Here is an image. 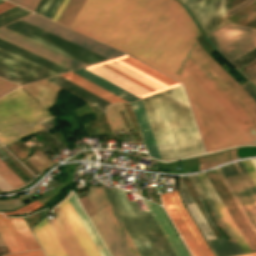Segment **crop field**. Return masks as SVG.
<instances>
[{"mask_svg": "<svg viewBox=\"0 0 256 256\" xmlns=\"http://www.w3.org/2000/svg\"><path fill=\"white\" fill-rule=\"evenodd\" d=\"M71 28L181 81L207 152L256 144V102L200 47L178 2L86 0Z\"/></svg>", "mask_w": 256, "mask_h": 256, "instance_id": "8a807250", "label": "crop field"}, {"mask_svg": "<svg viewBox=\"0 0 256 256\" xmlns=\"http://www.w3.org/2000/svg\"><path fill=\"white\" fill-rule=\"evenodd\" d=\"M142 101L162 161L204 153L182 86Z\"/></svg>", "mask_w": 256, "mask_h": 256, "instance_id": "ac0d7876", "label": "crop field"}, {"mask_svg": "<svg viewBox=\"0 0 256 256\" xmlns=\"http://www.w3.org/2000/svg\"><path fill=\"white\" fill-rule=\"evenodd\" d=\"M102 190L141 256H175L150 211L140 212L124 190Z\"/></svg>", "mask_w": 256, "mask_h": 256, "instance_id": "34b2d1b8", "label": "crop field"}, {"mask_svg": "<svg viewBox=\"0 0 256 256\" xmlns=\"http://www.w3.org/2000/svg\"><path fill=\"white\" fill-rule=\"evenodd\" d=\"M85 68L140 98L180 84L126 55Z\"/></svg>", "mask_w": 256, "mask_h": 256, "instance_id": "412701ff", "label": "crop field"}, {"mask_svg": "<svg viewBox=\"0 0 256 256\" xmlns=\"http://www.w3.org/2000/svg\"><path fill=\"white\" fill-rule=\"evenodd\" d=\"M52 116L21 88L0 98V142L6 144L43 127Z\"/></svg>", "mask_w": 256, "mask_h": 256, "instance_id": "f4fd0767", "label": "crop field"}, {"mask_svg": "<svg viewBox=\"0 0 256 256\" xmlns=\"http://www.w3.org/2000/svg\"><path fill=\"white\" fill-rule=\"evenodd\" d=\"M163 204L194 256H214L181 203L178 192L160 195Z\"/></svg>", "mask_w": 256, "mask_h": 256, "instance_id": "dd49c442", "label": "crop field"}, {"mask_svg": "<svg viewBox=\"0 0 256 256\" xmlns=\"http://www.w3.org/2000/svg\"><path fill=\"white\" fill-rule=\"evenodd\" d=\"M12 31H15L23 36H26L34 41L46 45L54 50H57L65 55H68L76 60H79L87 65L94 64L100 61L108 60L21 20L4 26Z\"/></svg>", "mask_w": 256, "mask_h": 256, "instance_id": "e52e79f7", "label": "crop field"}, {"mask_svg": "<svg viewBox=\"0 0 256 256\" xmlns=\"http://www.w3.org/2000/svg\"><path fill=\"white\" fill-rule=\"evenodd\" d=\"M230 61L256 47V29L229 23L208 36Z\"/></svg>", "mask_w": 256, "mask_h": 256, "instance_id": "d8731c3e", "label": "crop field"}, {"mask_svg": "<svg viewBox=\"0 0 256 256\" xmlns=\"http://www.w3.org/2000/svg\"><path fill=\"white\" fill-rule=\"evenodd\" d=\"M86 195L97 214L90 215L94 227L112 256H132L93 187Z\"/></svg>", "mask_w": 256, "mask_h": 256, "instance_id": "5a996713", "label": "crop field"}, {"mask_svg": "<svg viewBox=\"0 0 256 256\" xmlns=\"http://www.w3.org/2000/svg\"><path fill=\"white\" fill-rule=\"evenodd\" d=\"M21 20L39 27L45 31H48L54 35H57L63 39H66L72 43H75L81 47H84L90 51H93L99 55H102L108 59L122 55V53L116 50H113L76 32H73L36 14H31Z\"/></svg>", "mask_w": 256, "mask_h": 256, "instance_id": "3316defc", "label": "crop field"}, {"mask_svg": "<svg viewBox=\"0 0 256 256\" xmlns=\"http://www.w3.org/2000/svg\"><path fill=\"white\" fill-rule=\"evenodd\" d=\"M221 170L256 226V187L241 161L221 167Z\"/></svg>", "mask_w": 256, "mask_h": 256, "instance_id": "28ad6ade", "label": "crop field"}, {"mask_svg": "<svg viewBox=\"0 0 256 256\" xmlns=\"http://www.w3.org/2000/svg\"><path fill=\"white\" fill-rule=\"evenodd\" d=\"M0 38L23 49H26L34 54H37L43 58H46L52 62H55L61 66H64L70 70L87 66L79 61H76L57 51L45 47L4 27L0 28Z\"/></svg>", "mask_w": 256, "mask_h": 256, "instance_id": "d1516ede", "label": "crop field"}, {"mask_svg": "<svg viewBox=\"0 0 256 256\" xmlns=\"http://www.w3.org/2000/svg\"><path fill=\"white\" fill-rule=\"evenodd\" d=\"M224 2L225 0H186L184 4L208 34L227 23Z\"/></svg>", "mask_w": 256, "mask_h": 256, "instance_id": "22f410ed", "label": "crop field"}, {"mask_svg": "<svg viewBox=\"0 0 256 256\" xmlns=\"http://www.w3.org/2000/svg\"><path fill=\"white\" fill-rule=\"evenodd\" d=\"M0 69L29 83L58 75L1 48Z\"/></svg>", "mask_w": 256, "mask_h": 256, "instance_id": "cbeb9de0", "label": "crop field"}, {"mask_svg": "<svg viewBox=\"0 0 256 256\" xmlns=\"http://www.w3.org/2000/svg\"><path fill=\"white\" fill-rule=\"evenodd\" d=\"M188 179L190 180L191 184L193 185L198 195H200L202 198L205 199L207 206L215 222L224 231V233L230 238L229 240L223 239V240L210 242L217 256H231V255L241 254L242 253L241 249L239 248L238 244L234 240L233 236L231 235L230 231L228 230L221 216L217 212L216 208L214 207L213 203L211 202L204 188L200 184L196 175L189 176Z\"/></svg>", "mask_w": 256, "mask_h": 256, "instance_id": "5142ce71", "label": "crop field"}, {"mask_svg": "<svg viewBox=\"0 0 256 256\" xmlns=\"http://www.w3.org/2000/svg\"><path fill=\"white\" fill-rule=\"evenodd\" d=\"M58 206H59L61 212L63 213L64 217L66 218L68 224L70 225L71 229L73 230L78 241L80 242L86 255L87 256H99L97 250L95 249L93 243L91 242L90 238L88 237L86 231L84 230L78 217L76 216L75 212L73 211L67 198L64 201H62Z\"/></svg>", "mask_w": 256, "mask_h": 256, "instance_id": "d9b57169", "label": "crop field"}, {"mask_svg": "<svg viewBox=\"0 0 256 256\" xmlns=\"http://www.w3.org/2000/svg\"><path fill=\"white\" fill-rule=\"evenodd\" d=\"M176 256H189L161 207L144 200Z\"/></svg>", "mask_w": 256, "mask_h": 256, "instance_id": "733c2abd", "label": "crop field"}, {"mask_svg": "<svg viewBox=\"0 0 256 256\" xmlns=\"http://www.w3.org/2000/svg\"><path fill=\"white\" fill-rule=\"evenodd\" d=\"M33 232L47 256H67L46 218L37 224Z\"/></svg>", "mask_w": 256, "mask_h": 256, "instance_id": "4a817a6b", "label": "crop field"}, {"mask_svg": "<svg viewBox=\"0 0 256 256\" xmlns=\"http://www.w3.org/2000/svg\"><path fill=\"white\" fill-rule=\"evenodd\" d=\"M47 109H51L62 88L44 80L22 87Z\"/></svg>", "mask_w": 256, "mask_h": 256, "instance_id": "bc2a9ffb", "label": "crop field"}, {"mask_svg": "<svg viewBox=\"0 0 256 256\" xmlns=\"http://www.w3.org/2000/svg\"><path fill=\"white\" fill-rule=\"evenodd\" d=\"M197 176L207 191L208 195L210 196L211 200L213 201L214 205L216 206L217 210L221 214L222 218L224 219L225 223L227 224L228 228L230 229L231 233L233 234L234 238L236 239L237 243L239 244L240 248L242 249L243 253L250 252L249 248L247 247L246 243L244 242L243 238L241 237L240 233L238 232L237 228L235 227L204 173Z\"/></svg>", "mask_w": 256, "mask_h": 256, "instance_id": "214f88e0", "label": "crop field"}, {"mask_svg": "<svg viewBox=\"0 0 256 256\" xmlns=\"http://www.w3.org/2000/svg\"><path fill=\"white\" fill-rule=\"evenodd\" d=\"M130 105L136 114L149 156L160 159L142 101L132 102Z\"/></svg>", "mask_w": 256, "mask_h": 256, "instance_id": "92a150f3", "label": "crop field"}, {"mask_svg": "<svg viewBox=\"0 0 256 256\" xmlns=\"http://www.w3.org/2000/svg\"><path fill=\"white\" fill-rule=\"evenodd\" d=\"M73 73L85 78L86 80L100 86L101 88L113 93L114 95L130 102L136 99H139L138 97L130 94L129 92L119 88L118 86L106 81L105 79L95 75L94 73L82 68L76 71H72Z\"/></svg>", "mask_w": 256, "mask_h": 256, "instance_id": "dafd665d", "label": "crop field"}, {"mask_svg": "<svg viewBox=\"0 0 256 256\" xmlns=\"http://www.w3.org/2000/svg\"><path fill=\"white\" fill-rule=\"evenodd\" d=\"M66 90H68L69 92L89 101L90 103L96 105L97 107L104 109L105 106H107L108 104H110L109 102L95 96L94 94L76 86L75 84L59 77V76H56V77H52V78H48L46 79ZM88 102V103H89Z\"/></svg>", "mask_w": 256, "mask_h": 256, "instance_id": "00972430", "label": "crop field"}, {"mask_svg": "<svg viewBox=\"0 0 256 256\" xmlns=\"http://www.w3.org/2000/svg\"><path fill=\"white\" fill-rule=\"evenodd\" d=\"M0 47L7 50V51H10L16 55H19L27 60H30L38 65H41L47 69H50L58 74H61V73H64V72H67V71H70L64 67H61L55 63H52L46 59H43L37 55H34L26 50H23L17 46H14L8 42H5L3 40L0 39Z\"/></svg>", "mask_w": 256, "mask_h": 256, "instance_id": "a9b5d70f", "label": "crop field"}, {"mask_svg": "<svg viewBox=\"0 0 256 256\" xmlns=\"http://www.w3.org/2000/svg\"><path fill=\"white\" fill-rule=\"evenodd\" d=\"M0 236L9 252L26 250L9 218H3L2 214H0Z\"/></svg>", "mask_w": 256, "mask_h": 256, "instance_id": "4177f3b9", "label": "crop field"}, {"mask_svg": "<svg viewBox=\"0 0 256 256\" xmlns=\"http://www.w3.org/2000/svg\"><path fill=\"white\" fill-rule=\"evenodd\" d=\"M61 77L75 83L76 85L94 93L95 95L113 103L115 101H123V102H126L116 96H114L113 94L99 88L98 86L86 81L85 79L69 72V73H66V74H63V75H60Z\"/></svg>", "mask_w": 256, "mask_h": 256, "instance_id": "730fd06b", "label": "crop field"}, {"mask_svg": "<svg viewBox=\"0 0 256 256\" xmlns=\"http://www.w3.org/2000/svg\"><path fill=\"white\" fill-rule=\"evenodd\" d=\"M119 108L122 109V111H123V113H124L128 123H129L130 128L134 127V125H133V123H132V121H131V119H130V117H129V115H128L125 107H124V105L123 104H119V103H115V104L107 107L108 111L104 112V114H105V116L107 118L110 130H111L112 133H114L113 130H115V129H122V125L126 129V131L128 132V130H127V128H126V126H125V124H124V122H123V120H122V118H121V116H120V114H119V112L117 110ZM119 119H120L122 125H121Z\"/></svg>", "mask_w": 256, "mask_h": 256, "instance_id": "eef30255", "label": "crop field"}, {"mask_svg": "<svg viewBox=\"0 0 256 256\" xmlns=\"http://www.w3.org/2000/svg\"><path fill=\"white\" fill-rule=\"evenodd\" d=\"M95 191L97 192L99 198L101 199L103 205L105 206L107 212L109 213L110 217L112 218L114 224L116 225L118 231L120 232L121 236L123 237L125 243L127 244L129 250L131 251L133 256H140L134 247L133 243L131 242L129 236L127 235L126 231L124 230L122 224L120 223L119 219L117 218L115 212L113 211L112 207L110 206L108 200L106 199L105 195L103 194L101 188L94 187Z\"/></svg>", "mask_w": 256, "mask_h": 256, "instance_id": "ae1a2a85", "label": "crop field"}, {"mask_svg": "<svg viewBox=\"0 0 256 256\" xmlns=\"http://www.w3.org/2000/svg\"><path fill=\"white\" fill-rule=\"evenodd\" d=\"M72 207L74 208L76 214L78 215L80 221L82 222L84 228L86 229L88 235L90 236L92 242L94 243L95 247L97 248L99 254L101 256H108L106 250L104 249L103 245L101 244L99 238L97 237L96 233L94 232L92 226L90 225L88 219L86 218L85 214L83 213L81 207L79 206L78 202L76 201L74 195L69 200Z\"/></svg>", "mask_w": 256, "mask_h": 256, "instance_id": "d3111659", "label": "crop field"}, {"mask_svg": "<svg viewBox=\"0 0 256 256\" xmlns=\"http://www.w3.org/2000/svg\"><path fill=\"white\" fill-rule=\"evenodd\" d=\"M10 220L14 225L16 231L18 232L19 236L21 237L23 243L25 244L27 250L39 248L23 218H10Z\"/></svg>", "mask_w": 256, "mask_h": 256, "instance_id": "750c4746", "label": "crop field"}, {"mask_svg": "<svg viewBox=\"0 0 256 256\" xmlns=\"http://www.w3.org/2000/svg\"><path fill=\"white\" fill-rule=\"evenodd\" d=\"M55 218L57 219L58 223L60 224L62 230L64 231L65 235L67 236L69 242L71 243L73 249L75 250L78 256H86L83 249L81 248L79 242L77 241L76 237L74 236L72 230L70 229L69 225L67 224L65 218L63 217L62 213L60 212L58 206L52 211Z\"/></svg>", "mask_w": 256, "mask_h": 256, "instance_id": "bd1437ed", "label": "crop field"}, {"mask_svg": "<svg viewBox=\"0 0 256 256\" xmlns=\"http://www.w3.org/2000/svg\"><path fill=\"white\" fill-rule=\"evenodd\" d=\"M230 155H231V160L236 159L237 158L236 157V149L230 150ZM227 161H229L228 151L219 153V154H215V155H211V156H207V157L199 158L201 170L215 166L222 162H227Z\"/></svg>", "mask_w": 256, "mask_h": 256, "instance_id": "1d83c4d3", "label": "crop field"}, {"mask_svg": "<svg viewBox=\"0 0 256 256\" xmlns=\"http://www.w3.org/2000/svg\"><path fill=\"white\" fill-rule=\"evenodd\" d=\"M84 1L85 0H70L62 15L60 16L58 23L70 27Z\"/></svg>", "mask_w": 256, "mask_h": 256, "instance_id": "120bbe31", "label": "crop field"}, {"mask_svg": "<svg viewBox=\"0 0 256 256\" xmlns=\"http://www.w3.org/2000/svg\"><path fill=\"white\" fill-rule=\"evenodd\" d=\"M216 171H217L218 175L220 176L221 180L223 181L224 185L226 186L227 190L229 191L230 195L232 196L233 200L235 201L236 205L238 206L239 210L241 211L242 215L244 216L245 220L247 221L248 225L250 226L251 230L253 231L254 235L256 236V227L251 222L248 214L246 213V211L243 208L242 204L240 203L239 199L235 195V193L232 190L231 186L229 185L228 181L224 177V175L221 172L220 168L216 169Z\"/></svg>", "mask_w": 256, "mask_h": 256, "instance_id": "d32e631a", "label": "crop field"}, {"mask_svg": "<svg viewBox=\"0 0 256 256\" xmlns=\"http://www.w3.org/2000/svg\"><path fill=\"white\" fill-rule=\"evenodd\" d=\"M28 14H30V12H28L18 6H15L9 10H6V11L0 13V26L10 23V22L17 20L23 16L28 15Z\"/></svg>", "mask_w": 256, "mask_h": 256, "instance_id": "5866460e", "label": "crop field"}, {"mask_svg": "<svg viewBox=\"0 0 256 256\" xmlns=\"http://www.w3.org/2000/svg\"><path fill=\"white\" fill-rule=\"evenodd\" d=\"M187 207L191 211L192 215L198 222L200 228L202 229L203 233L205 234L207 240L214 239L215 236L212 233L211 229L207 225L206 221L204 220L203 216L201 215L200 211L196 207L195 203L188 204Z\"/></svg>", "mask_w": 256, "mask_h": 256, "instance_id": "028f5c9d", "label": "crop field"}, {"mask_svg": "<svg viewBox=\"0 0 256 256\" xmlns=\"http://www.w3.org/2000/svg\"><path fill=\"white\" fill-rule=\"evenodd\" d=\"M51 225L52 229L54 230L56 236L58 237L60 243L62 244L63 248L65 249L68 256H77L72 249L70 243L68 242L67 238L65 237L63 231L61 230L60 226L58 225L56 219L48 221Z\"/></svg>", "mask_w": 256, "mask_h": 256, "instance_id": "e1f06a70", "label": "crop field"}, {"mask_svg": "<svg viewBox=\"0 0 256 256\" xmlns=\"http://www.w3.org/2000/svg\"><path fill=\"white\" fill-rule=\"evenodd\" d=\"M0 175L14 188L25 185L7 166L0 161Z\"/></svg>", "mask_w": 256, "mask_h": 256, "instance_id": "0bd39190", "label": "crop field"}, {"mask_svg": "<svg viewBox=\"0 0 256 256\" xmlns=\"http://www.w3.org/2000/svg\"><path fill=\"white\" fill-rule=\"evenodd\" d=\"M28 160L41 172L52 164L40 150L33 153Z\"/></svg>", "mask_w": 256, "mask_h": 256, "instance_id": "b80d0937", "label": "crop field"}, {"mask_svg": "<svg viewBox=\"0 0 256 256\" xmlns=\"http://www.w3.org/2000/svg\"><path fill=\"white\" fill-rule=\"evenodd\" d=\"M256 59V48L231 61L236 68H241Z\"/></svg>", "mask_w": 256, "mask_h": 256, "instance_id": "c035e120", "label": "crop field"}, {"mask_svg": "<svg viewBox=\"0 0 256 256\" xmlns=\"http://www.w3.org/2000/svg\"><path fill=\"white\" fill-rule=\"evenodd\" d=\"M40 205L34 201L26 206H23L17 210L11 211V212H4V216H10V215H18V214H25V213H30L34 210H36Z\"/></svg>", "mask_w": 256, "mask_h": 256, "instance_id": "c21b1889", "label": "crop field"}, {"mask_svg": "<svg viewBox=\"0 0 256 256\" xmlns=\"http://www.w3.org/2000/svg\"><path fill=\"white\" fill-rule=\"evenodd\" d=\"M63 0H51L45 9L43 16L52 20Z\"/></svg>", "mask_w": 256, "mask_h": 256, "instance_id": "03da06ac", "label": "crop field"}, {"mask_svg": "<svg viewBox=\"0 0 256 256\" xmlns=\"http://www.w3.org/2000/svg\"><path fill=\"white\" fill-rule=\"evenodd\" d=\"M20 205H22V203L20 202V200L18 198L8 200V201L0 200V210L10 209V208H14V207H17Z\"/></svg>", "mask_w": 256, "mask_h": 256, "instance_id": "b54c1fbb", "label": "crop field"}, {"mask_svg": "<svg viewBox=\"0 0 256 256\" xmlns=\"http://www.w3.org/2000/svg\"><path fill=\"white\" fill-rule=\"evenodd\" d=\"M242 163L245 166V168H246L247 172L249 173L250 177L252 178L254 184L256 185V170L254 169L250 160L242 161Z\"/></svg>", "mask_w": 256, "mask_h": 256, "instance_id": "5d738f31", "label": "crop field"}, {"mask_svg": "<svg viewBox=\"0 0 256 256\" xmlns=\"http://www.w3.org/2000/svg\"><path fill=\"white\" fill-rule=\"evenodd\" d=\"M0 77L6 79V80H9L17 85H24V84H28L27 82L21 80V79H18L10 74H7L3 71L0 70Z\"/></svg>", "mask_w": 256, "mask_h": 256, "instance_id": "d23c7cc5", "label": "crop field"}, {"mask_svg": "<svg viewBox=\"0 0 256 256\" xmlns=\"http://www.w3.org/2000/svg\"><path fill=\"white\" fill-rule=\"evenodd\" d=\"M180 190H181V194H182V197H183V200L185 202V204H188V203H192L193 200L191 198V196L189 195L188 191L186 190L184 184L182 183L181 179H180Z\"/></svg>", "mask_w": 256, "mask_h": 256, "instance_id": "425ffa30", "label": "crop field"}, {"mask_svg": "<svg viewBox=\"0 0 256 256\" xmlns=\"http://www.w3.org/2000/svg\"><path fill=\"white\" fill-rule=\"evenodd\" d=\"M79 201L82 204V206H83L84 210L86 211L87 215L95 213L94 209L90 205V203L87 200L86 196L84 198H80Z\"/></svg>", "mask_w": 256, "mask_h": 256, "instance_id": "25e5ab78", "label": "crop field"}, {"mask_svg": "<svg viewBox=\"0 0 256 256\" xmlns=\"http://www.w3.org/2000/svg\"><path fill=\"white\" fill-rule=\"evenodd\" d=\"M4 256H44L42 251H29V252H22V253H15V254H8Z\"/></svg>", "mask_w": 256, "mask_h": 256, "instance_id": "73cf0c24", "label": "crop field"}, {"mask_svg": "<svg viewBox=\"0 0 256 256\" xmlns=\"http://www.w3.org/2000/svg\"><path fill=\"white\" fill-rule=\"evenodd\" d=\"M38 1L39 0H22L20 6L33 11Z\"/></svg>", "mask_w": 256, "mask_h": 256, "instance_id": "89e229c0", "label": "crop field"}, {"mask_svg": "<svg viewBox=\"0 0 256 256\" xmlns=\"http://www.w3.org/2000/svg\"><path fill=\"white\" fill-rule=\"evenodd\" d=\"M49 1H50V0H40V1L38 2L37 6H36L35 9H34V12H36V13L42 15V13H43L44 9L46 8V6H47V4H48Z\"/></svg>", "mask_w": 256, "mask_h": 256, "instance_id": "1f2cbd36", "label": "crop field"}, {"mask_svg": "<svg viewBox=\"0 0 256 256\" xmlns=\"http://www.w3.org/2000/svg\"><path fill=\"white\" fill-rule=\"evenodd\" d=\"M250 95L251 97L256 101V90H254L248 83H245L241 85Z\"/></svg>", "mask_w": 256, "mask_h": 256, "instance_id": "dbb93151", "label": "crop field"}, {"mask_svg": "<svg viewBox=\"0 0 256 256\" xmlns=\"http://www.w3.org/2000/svg\"><path fill=\"white\" fill-rule=\"evenodd\" d=\"M248 79H251L256 76V65L249 68L248 70L242 72Z\"/></svg>", "mask_w": 256, "mask_h": 256, "instance_id": "0fb4a251", "label": "crop field"}, {"mask_svg": "<svg viewBox=\"0 0 256 256\" xmlns=\"http://www.w3.org/2000/svg\"><path fill=\"white\" fill-rule=\"evenodd\" d=\"M13 86L14 85H12V84H10V83L0 79V93L5 91V90H7V89H9V88H11V87H13Z\"/></svg>", "mask_w": 256, "mask_h": 256, "instance_id": "1d79db26", "label": "crop field"}, {"mask_svg": "<svg viewBox=\"0 0 256 256\" xmlns=\"http://www.w3.org/2000/svg\"><path fill=\"white\" fill-rule=\"evenodd\" d=\"M69 0H64L62 5L60 6L59 10L57 11L56 15L53 18V21H57L59 16L61 15L62 11L64 10L66 4L68 3Z\"/></svg>", "mask_w": 256, "mask_h": 256, "instance_id": "9d1cf04e", "label": "crop field"}, {"mask_svg": "<svg viewBox=\"0 0 256 256\" xmlns=\"http://www.w3.org/2000/svg\"><path fill=\"white\" fill-rule=\"evenodd\" d=\"M13 6H15V5L10 4V3H8V2H5V3H3V4L0 5V12L4 11V10H6V9H9V8H11V7H13Z\"/></svg>", "mask_w": 256, "mask_h": 256, "instance_id": "447ae74e", "label": "crop field"}, {"mask_svg": "<svg viewBox=\"0 0 256 256\" xmlns=\"http://www.w3.org/2000/svg\"><path fill=\"white\" fill-rule=\"evenodd\" d=\"M15 88H17V86H15V87H13V88H11V89H9V90H7V91H5V92L1 93V94H0V96H2V95H4V94H6L7 92H9V91H11V90H13V89H15Z\"/></svg>", "mask_w": 256, "mask_h": 256, "instance_id": "0765c3eb", "label": "crop field"}, {"mask_svg": "<svg viewBox=\"0 0 256 256\" xmlns=\"http://www.w3.org/2000/svg\"><path fill=\"white\" fill-rule=\"evenodd\" d=\"M9 1H11V2H13V3L19 5V3H20L21 0H9Z\"/></svg>", "mask_w": 256, "mask_h": 256, "instance_id": "db79e9e6", "label": "crop field"}, {"mask_svg": "<svg viewBox=\"0 0 256 256\" xmlns=\"http://www.w3.org/2000/svg\"><path fill=\"white\" fill-rule=\"evenodd\" d=\"M251 162L254 165V167L256 168V159L251 160Z\"/></svg>", "mask_w": 256, "mask_h": 256, "instance_id": "7b73153f", "label": "crop field"}, {"mask_svg": "<svg viewBox=\"0 0 256 256\" xmlns=\"http://www.w3.org/2000/svg\"><path fill=\"white\" fill-rule=\"evenodd\" d=\"M242 256H256V253L248 254V255H242Z\"/></svg>", "mask_w": 256, "mask_h": 256, "instance_id": "78b8030e", "label": "crop field"}, {"mask_svg": "<svg viewBox=\"0 0 256 256\" xmlns=\"http://www.w3.org/2000/svg\"><path fill=\"white\" fill-rule=\"evenodd\" d=\"M252 83L256 85V78L252 80Z\"/></svg>", "mask_w": 256, "mask_h": 256, "instance_id": "0f1d7ab4", "label": "crop field"}, {"mask_svg": "<svg viewBox=\"0 0 256 256\" xmlns=\"http://www.w3.org/2000/svg\"><path fill=\"white\" fill-rule=\"evenodd\" d=\"M0 245H4V243H3V241H2V239L0 238Z\"/></svg>", "mask_w": 256, "mask_h": 256, "instance_id": "e1d0b9f6", "label": "crop field"}, {"mask_svg": "<svg viewBox=\"0 0 256 256\" xmlns=\"http://www.w3.org/2000/svg\"><path fill=\"white\" fill-rule=\"evenodd\" d=\"M3 2H5V1L1 0V1H0V4L3 3Z\"/></svg>", "mask_w": 256, "mask_h": 256, "instance_id": "ae633e8c", "label": "crop field"}, {"mask_svg": "<svg viewBox=\"0 0 256 256\" xmlns=\"http://www.w3.org/2000/svg\"><path fill=\"white\" fill-rule=\"evenodd\" d=\"M181 1L184 3L185 0H181Z\"/></svg>", "mask_w": 256, "mask_h": 256, "instance_id": "d14b1444", "label": "crop field"}]
</instances>
